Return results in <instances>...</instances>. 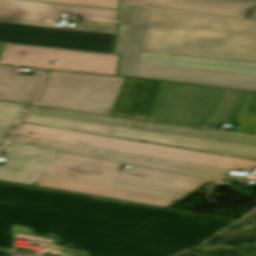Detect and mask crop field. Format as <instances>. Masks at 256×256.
<instances>
[{
	"label": "crop field",
	"instance_id": "21",
	"mask_svg": "<svg viewBox=\"0 0 256 256\" xmlns=\"http://www.w3.org/2000/svg\"><path fill=\"white\" fill-rule=\"evenodd\" d=\"M0 256H12V255L8 254V253L5 252V251H1V250H0Z\"/></svg>",
	"mask_w": 256,
	"mask_h": 256
},
{
	"label": "crop field",
	"instance_id": "9",
	"mask_svg": "<svg viewBox=\"0 0 256 256\" xmlns=\"http://www.w3.org/2000/svg\"><path fill=\"white\" fill-rule=\"evenodd\" d=\"M123 80L49 70L35 105L109 115Z\"/></svg>",
	"mask_w": 256,
	"mask_h": 256
},
{
	"label": "crop field",
	"instance_id": "16",
	"mask_svg": "<svg viewBox=\"0 0 256 256\" xmlns=\"http://www.w3.org/2000/svg\"><path fill=\"white\" fill-rule=\"evenodd\" d=\"M30 106L0 102V139L8 140Z\"/></svg>",
	"mask_w": 256,
	"mask_h": 256
},
{
	"label": "crop field",
	"instance_id": "14",
	"mask_svg": "<svg viewBox=\"0 0 256 256\" xmlns=\"http://www.w3.org/2000/svg\"><path fill=\"white\" fill-rule=\"evenodd\" d=\"M17 67L0 65V100L33 104L44 74L32 76L16 74ZM46 73L47 70L32 69Z\"/></svg>",
	"mask_w": 256,
	"mask_h": 256
},
{
	"label": "crop field",
	"instance_id": "20",
	"mask_svg": "<svg viewBox=\"0 0 256 256\" xmlns=\"http://www.w3.org/2000/svg\"><path fill=\"white\" fill-rule=\"evenodd\" d=\"M180 256H200V255H196V254H193V253H190V252H187L183 255H180ZM244 256H256V251L255 252H252V253H249V254H246Z\"/></svg>",
	"mask_w": 256,
	"mask_h": 256
},
{
	"label": "crop field",
	"instance_id": "17",
	"mask_svg": "<svg viewBox=\"0 0 256 256\" xmlns=\"http://www.w3.org/2000/svg\"><path fill=\"white\" fill-rule=\"evenodd\" d=\"M46 3L119 10L120 0H30Z\"/></svg>",
	"mask_w": 256,
	"mask_h": 256
},
{
	"label": "crop field",
	"instance_id": "7",
	"mask_svg": "<svg viewBox=\"0 0 256 256\" xmlns=\"http://www.w3.org/2000/svg\"><path fill=\"white\" fill-rule=\"evenodd\" d=\"M24 122L256 160V138L33 106Z\"/></svg>",
	"mask_w": 256,
	"mask_h": 256
},
{
	"label": "crop field",
	"instance_id": "13",
	"mask_svg": "<svg viewBox=\"0 0 256 256\" xmlns=\"http://www.w3.org/2000/svg\"><path fill=\"white\" fill-rule=\"evenodd\" d=\"M138 63L256 75V63L253 62L142 52Z\"/></svg>",
	"mask_w": 256,
	"mask_h": 256
},
{
	"label": "crop field",
	"instance_id": "11",
	"mask_svg": "<svg viewBox=\"0 0 256 256\" xmlns=\"http://www.w3.org/2000/svg\"><path fill=\"white\" fill-rule=\"evenodd\" d=\"M55 153L54 150L7 143L0 151L6 157L0 179L34 185Z\"/></svg>",
	"mask_w": 256,
	"mask_h": 256
},
{
	"label": "crop field",
	"instance_id": "8",
	"mask_svg": "<svg viewBox=\"0 0 256 256\" xmlns=\"http://www.w3.org/2000/svg\"><path fill=\"white\" fill-rule=\"evenodd\" d=\"M150 8L123 4L117 52L121 53L118 75L182 82L256 92V76L195 69L137 64Z\"/></svg>",
	"mask_w": 256,
	"mask_h": 256
},
{
	"label": "crop field",
	"instance_id": "12",
	"mask_svg": "<svg viewBox=\"0 0 256 256\" xmlns=\"http://www.w3.org/2000/svg\"><path fill=\"white\" fill-rule=\"evenodd\" d=\"M123 2L154 5L245 20H252L256 14V0H123Z\"/></svg>",
	"mask_w": 256,
	"mask_h": 256
},
{
	"label": "crop field",
	"instance_id": "6",
	"mask_svg": "<svg viewBox=\"0 0 256 256\" xmlns=\"http://www.w3.org/2000/svg\"><path fill=\"white\" fill-rule=\"evenodd\" d=\"M61 12L117 21L118 11L0 0V42L112 53L116 23L82 19L54 27Z\"/></svg>",
	"mask_w": 256,
	"mask_h": 256
},
{
	"label": "crop field",
	"instance_id": "24",
	"mask_svg": "<svg viewBox=\"0 0 256 256\" xmlns=\"http://www.w3.org/2000/svg\"><path fill=\"white\" fill-rule=\"evenodd\" d=\"M255 21H256V18H255Z\"/></svg>",
	"mask_w": 256,
	"mask_h": 256
},
{
	"label": "crop field",
	"instance_id": "18",
	"mask_svg": "<svg viewBox=\"0 0 256 256\" xmlns=\"http://www.w3.org/2000/svg\"><path fill=\"white\" fill-rule=\"evenodd\" d=\"M50 247V246H49ZM51 251L50 254H58V255H82L86 252H77V251H69V250H63V249H57L50 247Z\"/></svg>",
	"mask_w": 256,
	"mask_h": 256
},
{
	"label": "crop field",
	"instance_id": "23",
	"mask_svg": "<svg viewBox=\"0 0 256 256\" xmlns=\"http://www.w3.org/2000/svg\"><path fill=\"white\" fill-rule=\"evenodd\" d=\"M5 142L0 141V148L4 145Z\"/></svg>",
	"mask_w": 256,
	"mask_h": 256
},
{
	"label": "crop field",
	"instance_id": "5",
	"mask_svg": "<svg viewBox=\"0 0 256 256\" xmlns=\"http://www.w3.org/2000/svg\"><path fill=\"white\" fill-rule=\"evenodd\" d=\"M142 51L256 62V23L153 7Z\"/></svg>",
	"mask_w": 256,
	"mask_h": 256
},
{
	"label": "crop field",
	"instance_id": "3",
	"mask_svg": "<svg viewBox=\"0 0 256 256\" xmlns=\"http://www.w3.org/2000/svg\"><path fill=\"white\" fill-rule=\"evenodd\" d=\"M122 166L56 151L35 185L164 207L214 181L136 166L122 169Z\"/></svg>",
	"mask_w": 256,
	"mask_h": 256
},
{
	"label": "crop field",
	"instance_id": "15",
	"mask_svg": "<svg viewBox=\"0 0 256 256\" xmlns=\"http://www.w3.org/2000/svg\"><path fill=\"white\" fill-rule=\"evenodd\" d=\"M249 244L256 245V209L199 244L196 248L209 250L219 246L224 248L247 247Z\"/></svg>",
	"mask_w": 256,
	"mask_h": 256
},
{
	"label": "crop field",
	"instance_id": "10",
	"mask_svg": "<svg viewBox=\"0 0 256 256\" xmlns=\"http://www.w3.org/2000/svg\"><path fill=\"white\" fill-rule=\"evenodd\" d=\"M118 55L6 44L1 64L115 75ZM54 60H60L58 65Z\"/></svg>",
	"mask_w": 256,
	"mask_h": 256
},
{
	"label": "crop field",
	"instance_id": "2",
	"mask_svg": "<svg viewBox=\"0 0 256 256\" xmlns=\"http://www.w3.org/2000/svg\"><path fill=\"white\" fill-rule=\"evenodd\" d=\"M254 93L125 78L110 115L207 128L210 120L240 123L256 135Z\"/></svg>",
	"mask_w": 256,
	"mask_h": 256
},
{
	"label": "crop field",
	"instance_id": "4",
	"mask_svg": "<svg viewBox=\"0 0 256 256\" xmlns=\"http://www.w3.org/2000/svg\"><path fill=\"white\" fill-rule=\"evenodd\" d=\"M10 140L213 179L256 166L254 160L29 124L20 125Z\"/></svg>",
	"mask_w": 256,
	"mask_h": 256
},
{
	"label": "crop field",
	"instance_id": "1",
	"mask_svg": "<svg viewBox=\"0 0 256 256\" xmlns=\"http://www.w3.org/2000/svg\"><path fill=\"white\" fill-rule=\"evenodd\" d=\"M234 222L0 181V248L15 237L84 256H176Z\"/></svg>",
	"mask_w": 256,
	"mask_h": 256
},
{
	"label": "crop field",
	"instance_id": "22",
	"mask_svg": "<svg viewBox=\"0 0 256 256\" xmlns=\"http://www.w3.org/2000/svg\"><path fill=\"white\" fill-rule=\"evenodd\" d=\"M5 44H0V55H1V52L3 50V47H4Z\"/></svg>",
	"mask_w": 256,
	"mask_h": 256
},
{
	"label": "crop field",
	"instance_id": "19",
	"mask_svg": "<svg viewBox=\"0 0 256 256\" xmlns=\"http://www.w3.org/2000/svg\"><path fill=\"white\" fill-rule=\"evenodd\" d=\"M194 193H195V192H194ZM196 194H197V193H195V194H193V195H191V196H189V197H187V198H185V199H183V200H181V201H179V202H177V203L171 205V206L168 207V208L173 209V208L177 207L178 205H180L181 203L185 202L186 200L190 199L191 197H193V196L196 195Z\"/></svg>",
	"mask_w": 256,
	"mask_h": 256
}]
</instances>
